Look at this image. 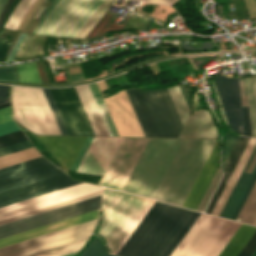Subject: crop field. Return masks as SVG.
Masks as SVG:
<instances>
[{
	"label": "crop field",
	"instance_id": "crop-field-1",
	"mask_svg": "<svg viewBox=\"0 0 256 256\" xmlns=\"http://www.w3.org/2000/svg\"><path fill=\"white\" fill-rule=\"evenodd\" d=\"M199 215L155 201L117 255L169 256Z\"/></svg>",
	"mask_w": 256,
	"mask_h": 256
},
{
	"label": "crop field",
	"instance_id": "crop-field-2",
	"mask_svg": "<svg viewBox=\"0 0 256 256\" xmlns=\"http://www.w3.org/2000/svg\"><path fill=\"white\" fill-rule=\"evenodd\" d=\"M44 158L0 170V207L82 183Z\"/></svg>",
	"mask_w": 256,
	"mask_h": 256
},
{
	"label": "crop field",
	"instance_id": "crop-field-3",
	"mask_svg": "<svg viewBox=\"0 0 256 256\" xmlns=\"http://www.w3.org/2000/svg\"><path fill=\"white\" fill-rule=\"evenodd\" d=\"M154 200L104 188L103 217L98 229L110 253L116 254Z\"/></svg>",
	"mask_w": 256,
	"mask_h": 256
},
{
	"label": "crop field",
	"instance_id": "crop-field-4",
	"mask_svg": "<svg viewBox=\"0 0 256 256\" xmlns=\"http://www.w3.org/2000/svg\"><path fill=\"white\" fill-rule=\"evenodd\" d=\"M182 141L149 138L123 191L154 199Z\"/></svg>",
	"mask_w": 256,
	"mask_h": 256
},
{
	"label": "crop field",
	"instance_id": "crop-field-5",
	"mask_svg": "<svg viewBox=\"0 0 256 256\" xmlns=\"http://www.w3.org/2000/svg\"><path fill=\"white\" fill-rule=\"evenodd\" d=\"M214 142L185 139L155 199L182 206Z\"/></svg>",
	"mask_w": 256,
	"mask_h": 256
},
{
	"label": "crop field",
	"instance_id": "crop-field-6",
	"mask_svg": "<svg viewBox=\"0 0 256 256\" xmlns=\"http://www.w3.org/2000/svg\"><path fill=\"white\" fill-rule=\"evenodd\" d=\"M126 92L145 136H178L183 125L166 88Z\"/></svg>",
	"mask_w": 256,
	"mask_h": 256
},
{
	"label": "crop field",
	"instance_id": "crop-field-7",
	"mask_svg": "<svg viewBox=\"0 0 256 256\" xmlns=\"http://www.w3.org/2000/svg\"><path fill=\"white\" fill-rule=\"evenodd\" d=\"M239 226L201 213L171 256H217Z\"/></svg>",
	"mask_w": 256,
	"mask_h": 256
},
{
	"label": "crop field",
	"instance_id": "crop-field-8",
	"mask_svg": "<svg viewBox=\"0 0 256 256\" xmlns=\"http://www.w3.org/2000/svg\"><path fill=\"white\" fill-rule=\"evenodd\" d=\"M12 106L14 119L32 132L61 135L41 88L13 86Z\"/></svg>",
	"mask_w": 256,
	"mask_h": 256
},
{
	"label": "crop field",
	"instance_id": "crop-field-9",
	"mask_svg": "<svg viewBox=\"0 0 256 256\" xmlns=\"http://www.w3.org/2000/svg\"><path fill=\"white\" fill-rule=\"evenodd\" d=\"M104 0H60L37 34L74 37Z\"/></svg>",
	"mask_w": 256,
	"mask_h": 256
},
{
	"label": "crop field",
	"instance_id": "crop-field-10",
	"mask_svg": "<svg viewBox=\"0 0 256 256\" xmlns=\"http://www.w3.org/2000/svg\"><path fill=\"white\" fill-rule=\"evenodd\" d=\"M69 135H94L74 87L49 89ZM48 89H43L62 134H68Z\"/></svg>",
	"mask_w": 256,
	"mask_h": 256
},
{
	"label": "crop field",
	"instance_id": "crop-field-11",
	"mask_svg": "<svg viewBox=\"0 0 256 256\" xmlns=\"http://www.w3.org/2000/svg\"><path fill=\"white\" fill-rule=\"evenodd\" d=\"M96 220L1 248L0 256H33L62 245L85 240L92 233Z\"/></svg>",
	"mask_w": 256,
	"mask_h": 256
},
{
	"label": "crop field",
	"instance_id": "crop-field-12",
	"mask_svg": "<svg viewBox=\"0 0 256 256\" xmlns=\"http://www.w3.org/2000/svg\"><path fill=\"white\" fill-rule=\"evenodd\" d=\"M215 83L222 99L229 127L239 132L238 125H242L244 135L252 137L249 108H241V103L242 107H248L245 80H239L241 103L238 79L215 75Z\"/></svg>",
	"mask_w": 256,
	"mask_h": 256
},
{
	"label": "crop field",
	"instance_id": "crop-field-13",
	"mask_svg": "<svg viewBox=\"0 0 256 256\" xmlns=\"http://www.w3.org/2000/svg\"><path fill=\"white\" fill-rule=\"evenodd\" d=\"M148 138H123L100 185L122 190Z\"/></svg>",
	"mask_w": 256,
	"mask_h": 256
},
{
	"label": "crop field",
	"instance_id": "crop-field-14",
	"mask_svg": "<svg viewBox=\"0 0 256 256\" xmlns=\"http://www.w3.org/2000/svg\"><path fill=\"white\" fill-rule=\"evenodd\" d=\"M100 196L0 226V238L99 208Z\"/></svg>",
	"mask_w": 256,
	"mask_h": 256
},
{
	"label": "crop field",
	"instance_id": "crop-field-15",
	"mask_svg": "<svg viewBox=\"0 0 256 256\" xmlns=\"http://www.w3.org/2000/svg\"><path fill=\"white\" fill-rule=\"evenodd\" d=\"M93 137H88L72 170H77ZM122 138L94 137L77 171L103 175Z\"/></svg>",
	"mask_w": 256,
	"mask_h": 256
},
{
	"label": "crop field",
	"instance_id": "crop-field-16",
	"mask_svg": "<svg viewBox=\"0 0 256 256\" xmlns=\"http://www.w3.org/2000/svg\"><path fill=\"white\" fill-rule=\"evenodd\" d=\"M102 187L83 183L30 200H26L17 204L0 208V220L26 213L35 209H39L48 205L62 202L71 198H75L84 194L101 190Z\"/></svg>",
	"mask_w": 256,
	"mask_h": 256
},
{
	"label": "crop field",
	"instance_id": "crop-field-17",
	"mask_svg": "<svg viewBox=\"0 0 256 256\" xmlns=\"http://www.w3.org/2000/svg\"><path fill=\"white\" fill-rule=\"evenodd\" d=\"M256 147L250 157V159L248 160L240 178L238 179L230 197L228 198L220 216L221 217H225V218H229V219H233L236 220L244 202L246 201L255 181H256ZM255 153V155H254ZM254 155V157H253ZM253 157V159H252ZM252 159V161H251ZM251 161V163H250ZM250 163V165H249ZM249 165V167H248ZM255 166V168H254ZM248 167V169H247ZM254 168V170H253ZM247 169V171L249 172H253L252 173H248L245 172Z\"/></svg>",
	"mask_w": 256,
	"mask_h": 256
},
{
	"label": "crop field",
	"instance_id": "crop-field-18",
	"mask_svg": "<svg viewBox=\"0 0 256 256\" xmlns=\"http://www.w3.org/2000/svg\"><path fill=\"white\" fill-rule=\"evenodd\" d=\"M43 146L65 171L71 166L86 137L38 136ZM66 164V167L64 165ZM67 172V171H66Z\"/></svg>",
	"mask_w": 256,
	"mask_h": 256
},
{
	"label": "crop field",
	"instance_id": "crop-field-19",
	"mask_svg": "<svg viewBox=\"0 0 256 256\" xmlns=\"http://www.w3.org/2000/svg\"><path fill=\"white\" fill-rule=\"evenodd\" d=\"M219 165L218 142H215L206 162L204 163L194 185L192 186L183 207L196 210L206 188L208 187Z\"/></svg>",
	"mask_w": 256,
	"mask_h": 256
},
{
	"label": "crop field",
	"instance_id": "crop-field-20",
	"mask_svg": "<svg viewBox=\"0 0 256 256\" xmlns=\"http://www.w3.org/2000/svg\"><path fill=\"white\" fill-rule=\"evenodd\" d=\"M99 210V209H98ZM98 210L0 239V248L97 218Z\"/></svg>",
	"mask_w": 256,
	"mask_h": 256
},
{
	"label": "crop field",
	"instance_id": "crop-field-21",
	"mask_svg": "<svg viewBox=\"0 0 256 256\" xmlns=\"http://www.w3.org/2000/svg\"><path fill=\"white\" fill-rule=\"evenodd\" d=\"M238 139H239L238 137H234L231 134L226 132V142H225V146H224L225 164H226L231 152L233 151ZM248 140H249V138H245V137H241L239 139L233 153L231 154V156L225 166V175H224L219 187L217 188L213 198L211 199L205 212L211 214V212H212L223 188L225 187L236 163L238 162Z\"/></svg>",
	"mask_w": 256,
	"mask_h": 256
},
{
	"label": "crop field",
	"instance_id": "crop-field-22",
	"mask_svg": "<svg viewBox=\"0 0 256 256\" xmlns=\"http://www.w3.org/2000/svg\"><path fill=\"white\" fill-rule=\"evenodd\" d=\"M180 137L189 138H216L217 127L208 110L190 116Z\"/></svg>",
	"mask_w": 256,
	"mask_h": 256
},
{
	"label": "crop field",
	"instance_id": "crop-field-23",
	"mask_svg": "<svg viewBox=\"0 0 256 256\" xmlns=\"http://www.w3.org/2000/svg\"><path fill=\"white\" fill-rule=\"evenodd\" d=\"M96 135L110 136L87 85L75 87Z\"/></svg>",
	"mask_w": 256,
	"mask_h": 256
},
{
	"label": "crop field",
	"instance_id": "crop-field-24",
	"mask_svg": "<svg viewBox=\"0 0 256 256\" xmlns=\"http://www.w3.org/2000/svg\"><path fill=\"white\" fill-rule=\"evenodd\" d=\"M255 145H256V139H252L251 138L249 140V142H248V144H247V146H246V148H245V150H244V152H243V154H242L238 164L236 165V167H235V169H234V171H233V173H232V175H231V177H230V179H229L225 189L223 190V192H222V194H221V196H220V198H219V200H218V202H217L213 212H212L213 215H217L218 216L220 214V212H221V210H222V208H223V206H224L228 196L230 195V193H231V191H232V189H233V187H234L238 177L240 176V174H241V172H242V170H243L247 160L249 159V157H250V155H251Z\"/></svg>",
	"mask_w": 256,
	"mask_h": 256
},
{
	"label": "crop field",
	"instance_id": "crop-field-25",
	"mask_svg": "<svg viewBox=\"0 0 256 256\" xmlns=\"http://www.w3.org/2000/svg\"><path fill=\"white\" fill-rule=\"evenodd\" d=\"M255 231L256 227L241 224L218 256H237Z\"/></svg>",
	"mask_w": 256,
	"mask_h": 256
},
{
	"label": "crop field",
	"instance_id": "crop-field-26",
	"mask_svg": "<svg viewBox=\"0 0 256 256\" xmlns=\"http://www.w3.org/2000/svg\"><path fill=\"white\" fill-rule=\"evenodd\" d=\"M45 40L43 37L27 34L13 61L44 56L42 48Z\"/></svg>",
	"mask_w": 256,
	"mask_h": 256
},
{
	"label": "crop field",
	"instance_id": "crop-field-27",
	"mask_svg": "<svg viewBox=\"0 0 256 256\" xmlns=\"http://www.w3.org/2000/svg\"><path fill=\"white\" fill-rule=\"evenodd\" d=\"M111 136H119L97 84H88Z\"/></svg>",
	"mask_w": 256,
	"mask_h": 256
},
{
	"label": "crop field",
	"instance_id": "crop-field-28",
	"mask_svg": "<svg viewBox=\"0 0 256 256\" xmlns=\"http://www.w3.org/2000/svg\"><path fill=\"white\" fill-rule=\"evenodd\" d=\"M256 219V183L245 202L237 220L253 225Z\"/></svg>",
	"mask_w": 256,
	"mask_h": 256
},
{
	"label": "crop field",
	"instance_id": "crop-field-29",
	"mask_svg": "<svg viewBox=\"0 0 256 256\" xmlns=\"http://www.w3.org/2000/svg\"><path fill=\"white\" fill-rule=\"evenodd\" d=\"M34 1L35 0H21L11 13L4 27L16 30Z\"/></svg>",
	"mask_w": 256,
	"mask_h": 256
},
{
	"label": "crop field",
	"instance_id": "crop-field-30",
	"mask_svg": "<svg viewBox=\"0 0 256 256\" xmlns=\"http://www.w3.org/2000/svg\"><path fill=\"white\" fill-rule=\"evenodd\" d=\"M171 99L176 107V110L180 116V119L184 125L188 115H189V110L187 108L186 102L184 100V97L182 95V92L179 88V86L168 88L167 89Z\"/></svg>",
	"mask_w": 256,
	"mask_h": 256
},
{
	"label": "crop field",
	"instance_id": "crop-field-31",
	"mask_svg": "<svg viewBox=\"0 0 256 256\" xmlns=\"http://www.w3.org/2000/svg\"><path fill=\"white\" fill-rule=\"evenodd\" d=\"M101 192H102V190L98 191V192L88 194V195H84V196H81V197H78V198H75V199H71V200H68V201H65V202H62V203H58V204H55V205H52V206H48V207H45V208H42V209H39V210H35V211L29 212V213H26V214H22V215H19V216H16V217H12V218L0 221V225L9 223V222H12V221H15V220H19V219H22V218H25V217H28V216H32V215H35V214H38V213H41V212H45V211H48V210H51V209H54V208H58V207H61V206L67 205V204H71V203H74V202H77V201H80V200H84V199H87V198H90V197H93V196H97V195H100Z\"/></svg>",
	"mask_w": 256,
	"mask_h": 256
},
{
	"label": "crop field",
	"instance_id": "crop-field-32",
	"mask_svg": "<svg viewBox=\"0 0 256 256\" xmlns=\"http://www.w3.org/2000/svg\"><path fill=\"white\" fill-rule=\"evenodd\" d=\"M21 82L42 83L35 62L17 65Z\"/></svg>",
	"mask_w": 256,
	"mask_h": 256
},
{
	"label": "crop field",
	"instance_id": "crop-field-33",
	"mask_svg": "<svg viewBox=\"0 0 256 256\" xmlns=\"http://www.w3.org/2000/svg\"><path fill=\"white\" fill-rule=\"evenodd\" d=\"M253 137H256V77L246 79Z\"/></svg>",
	"mask_w": 256,
	"mask_h": 256
},
{
	"label": "crop field",
	"instance_id": "crop-field-34",
	"mask_svg": "<svg viewBox=\"0 0 256 256\" xmlns=\"http://www.w3.org/2000/svg\"><path fill=\"white\" fill-rule=\"evenodd\" d=\"M113 2L114 0H105L75 37L84 38Z\"/></svg>",
	"mask_w": 256,
	"mask_h": 256
},
{
	"label": "crop field",
	"instance_id": "crop-field-35",
	"mask_svg": "<svg viewBox=\"0 0 256 256\" xmlns=\"http://www.w3.org/2000/svg\"><path fill=\"white\" fill-rule=\"evenodd\" d=\"M221 176H222L221 171L218 168V170H217L213 180L211 181V183H210V185H209L205 195L203 196V198H202V200H201V202H200V204H199V206L197 208L198 211H204V209H205V207H206V205H207V203H208L212 193L214 192V190H215V188H216V186H217Z\"/></svg>",
	"mask_w": 256,
	"mask_h": 256
},
{
	"label": "crop field",
	"instance_id": "crop-field-36",
	"mask_svg": "<svg viewBox=\"0 0 256 256\" xmlns=\"http://www.w3.org/2000/svg\"><path fill=\"white\" fill-rule=\"evenodd\" d=\"M81 256H112L105 252L100 240L94 238L87 250Z\"/></svg>",
	"mask_w": 256,
	"mask_h": 256
},
{
	"label": "crop field",
	"instance_id": "crop-field-37",
	"mask_svg": "<svg viewBox=\"0 0 256 256\" xmlns=\"http://www.w3.org/2000/svg\"><path fill=\"white\" fill-rule=\"evenodd\" d=\"M84 242L85 241H82V242H79V243H76V244H72V245H68V246H65L63 248H60V249H57V250H54V251H51V252H48V253H44V254H41V255H38V256H61V255L67 254V253H71V252L76 251L80 247H82Z\"/></svg>",
	"mask_w": 256,
	"mask_h": 256
},
{
	"label": "crop field",
	"instance_id": "crop-field-38",
	"mask_svg": "<svg viewBox=\"0 0 256 256\" xmlns=\"http://www.w3.org/2000/svg\"><path fill=\"white\" fill-rule=\"evenodd\" d=\"M19 1L20 0H15L14 3L12 4V6H11V8H10V10H9V12H8V14H7V16H6L2 26H1V28H0V35H1L2 31H3L2 28H3L4 24H5L8 16L10 15V13L12 12V10L14 9V7L16 6V4ZM10 45H11V42L3 40V39L0 38V61H3V59H4V57H5L6 53H7Z\"/></svg>",
	"mask_w": 256,
	"mask_h": 256
},
{
	"label": "crop field",
	"instance_id": "crop-field-39",
	"mask_svg": "<svg viewBox=\"0 0 256 256\" xmlns=\"http://www.w3.org/2000/svg\"><path fill=\"white\" fill-rule=\"evenodd\" d=\"M32 147V144L29 142V140L24 141V142H20L11 146H7L4 148L0 149V156L5 155V154H9L15 151H19L25 148H29Z\"/></svg>",
	"mask_w": 256,
	"mask_h": 256
},
{
	"label": "crop field",
	"instance_id": "crop-field-40",
	"mask_svg": "<svg viewBox=\"0 0 256 256\" xmlns=\"http://www.w3.org/2000/svg\"><path fill=\"white\" fill-rule=\"evenodd\" d=\"M0 80L16 82L13 65L0 66Z\"/></svg>",
	"mask_w": 256,
	"mask_h": 256
},
{
	"label": "crop field",
	"instance_id": "crop-field-41",
	"mask_svg": "<svg viewBox=\"0 0 256 256\" xmlns=\"http://www.w3.org/2000/svg\"><path fill=\"white\" fill-rule=\"evenodd\" d=\"M256 249V232L238 256H250Z\"/></svg>",
	"mask_w": 256,
	"mask_h": 256
},
{
	"label": "crop field",
	"instance_id": "crop-field-42",
	"mask_svg": "<svg viewBox=\"0 0 256 256\" xmlns=\"http://www.w3.org/2000/svg\"><path fill=\"white\" fill-rule=\"evenodd\" d=\"M19 131L14 121L0 125V136Z\"/></svg>",
	"mask_w": 256,
	"mask_h": 256
},
{
	"label": "crop field",
	"instance_id": "crop-field-43",
	"mask_svg": "<svg viewBox=\"0 0 256 256\" xmlns=\"http://www.w3.org/2000/svg\"><path fill=\"white\" fill-rule=\"evenodd\" d=\"M12 113H11V108L6 107V108H2L0 109V124L5 123V122H9L12 121Z\"/></svg>",
	"mask_w": 256,
	"mask_h": 256
},
{
	"label": "crop field",
	"instance_id": "crop-field-44",
	"mask_svg": "<svg viewBox=\"0 0 256 256\" xmlns=\"http://www.w3.org/2000/svg\"><path fill=\"white\" fill-rule=\"evenodd\" d=\"M39 1H40V0H36V2L34 3V5L32 6V8L30 9V11L28 12V14L26 15V17L29 16V14L31 13V11L33 10V8L35 7V5H36ZM43 1H44V0H41V1L37 4V6L34 8V10L32 11V13L30 14V16L27 17V19H26V17L24 18V20L22 21V23H21V24L19 25V27L17 28V31H19V29L21 28L23 22H24L25 19H26V21H25L23 27H22L21 30H20V31H23L25 25L27 24V22L29 21V19L32 17V15H33L34 12L36 11V9L41 5V3H42Z\"/></svg>",
	"mask_w": 256,
	"mask_h": 256
},
{
	"label": "crop field",
	"instance_id": "crop-field-45",
	"mask_svg": "<svg viewBox=\"0 0 256 256\" xmlns=\"http://www.w3.org/2000/svg\"><path fill=\"white\" fill-rule=\"evenodd\" d=\"M20 137H24L23 133L21 131L15 132V133L0 137V143H4V142L10 141V140H14V139H17V138H20Z\"/></svg>",
	"mask_w": 256,
	"mask_h": 256
},
{
	"label": "crop field",
	"instance_id": "crop-field-46",
	"mask_svg": "<svg viewBox=\"0 0 256 256\" xmlns=\"http://www.w3.org/2000/svg\"><path fill=\"white\" fill-rule=\"evenodd\" d=\"M25 36H26V34L21 33V35H20L14 49L12 50L10 56L8 57L7 61H12L14 55L16 54V52H17L18 48L20 47L22 41L24 40Z\"/></svg>",
	"mask_w": 256,
	"mask_h": 256
},
{
	"label": "crop field",
	"instance_id": "crop-field-47",
	"mask_svg": "<svg viewBox=\"0 0 256 256\" xmlns=\"http://www.w3.org/2000/svg\"><path fill=\"white\" fill-rule=\"evenodd\" d=\"M8 85H0V103L7 101Z\"/></svg>",
	"mask_w": 256,
	"mask_h": 256
},
{
	"label": "crop field",
	"instance_id": "crop-field-48",
	"mask_svg": "<svg viewBox=\"0 0 256 256\" xmlns=\"http://www.w3.org/2000/svg\"><path fill=\"white\" fill-rule=\"evenodd\" d=\"M13 1H14V0H8V2L6 3V5H5V7H4V9H3V11H2V13H1V15H0V25H1V23H2V21H3V19H4V17H5V15H6V13H7L9 7H10V5L12 4Z\"/></svg>",
	"mask_w": 256,
	"mask_h": 256
},
{
	"label": "crop field",
	"instance_id": "crop-field-49",
	"mask_svg": "<svg viewBox=\"0 0 256 256\" xmlns=\"http://www.w3.org/2000/svg\"><path fill=\"white\" fill-rule=\"evenodd\" d=\"M196 95H197V93L195 92L192 114L195 113L196 111L200 110V106H199L198 100L196 98Z\"/></svg>",
	"mask_w": 256,
	"mask_h": 256
},
{
	"label": "crop field",
	"instance_id": "crop-field-50",
	"mask_svg": "<svg viewBox=\"0 0 256 256\" xmlns=\"http://www.w3.org/2000/svg\"><path fill=\"white\" fill-rule=\"evenodd\" d=\"M33 20H30V22L28 23V25L26 26L27 28H29L30 24L32 23ZM37 21H33V23L31 24L29 29H24L25 32H29L31 33L32 29L34 28V26L36 25Z\"/></svg>",
	"mask_w": 256,
	"mask_h": 256
},
{
	"label": "crop field",
	"instance_id": "crop-field-51",
	"mask_svg": "<svg viewBox=\"0 0 256 256\" xmlns=\"http://www.w3.org/2000/svg\"><path fill=\"white\" fill-rule=\"evenodd\" d=\"M24 140H27V138L24 137V138L17 139V140L8 142V143L1 144V145H0V148H1V147H4V146H7V145H11V144L17 143V142H20V141H24Z\"/></svg>",
	"mask_w": 256,
	"mask_h": 256
},
{
	"label": "crop field",
	"instance_id": "crop-field-52",
	"mask_svg": "<svg viewBox=\"0 0 256 256\" xmlns=\"http://www.w3.org/2000/svg\"><path fill=\"white\" fill-rule=\"evenodd\" d=\"M143 1H151V2H159V3H168V4H172V3L175 2L176 0H143Z\"/></svg>",
	"mask_w": 256,
	"mask_h": 256
},
{
	"label": "crop field",
	"instance_id": "crop-field-53",
	"mask_svg": "<svg viewBox=\"0 0 256 256\" xmlns=\"http://www.w3.org/2000/svg\"><path fill=\"white\" fill-rule=\"evenodd\" d=\"M6 2H7V0H0V12H1V10L4 7Z\"/></svg>",
	"mask_w": 256,
	"mask_h": 256
},
{
	"label": "crop field",
	"instance_id": "crop-field-54",
	"mask_svg": "<svg viewBox=\"0 0 256 256\" xmlns=\"http://www.w3.org/2000/svg\"><path fill=\"white\" fill-rule=\"evenodd\" d=\"M47 1H50V2L53 3L55 0H47ZM52 3H51V4H52ZM51 4H50V5H51ZM49 7H50V6H49ZM49 7H48V8H49ZM39 8H40V7H39ZM39 8H38V9H39ZM48 8H47V9H48ZM38 9H37V10H38ZM42 9H43V8H42ZM47 9H46V11H47ZM46 11H45V12H46ZM36 12H37V11H36ZM36 12H35V13H36ZM40 12H41V11H40ZM40 12H39V13H40ZM45 12H44V13H45ZM44 13H43V14H44ZM34 15H35V14H34ZM34 15H33V16H34ZM38 15H39V14H38ZM38 15L36 16V18L38 17ZM42 16H43V15H42ZM42 16H41V17H42ZM41 17H40V18H41ZM36 18H35V19H36ZM39 20H40V19H39Z\"/></svg>",
	"mask_w": 256,
	"mask_h": 256
},
{
	"label": "crop field",
	"instance_id": "crop-field-55",
	"mask_svg": "<svg viewBox=\"0 0 256 256\" xmlns=\"http://www.w3.org/2000/svg\"><path fill=\"white\" fill-rule=\"evenodd\" d=\"M9 105H10V102L5 103V104H1V105H0V108H2V107H6V106H9Z\"/></svg>",
	"mask_w": 256,
	"mask_h": 256
},
{
	"label": "crop field",
	"instance_id": "crop-field-56",
	"mask_svg": "<svg viewBox=\"0 0 256 256\" xmlns=\"http://www.w3.org/2000/svg\"><path fill=\"white\" fill-rule=\"evenodd\" d=\"M49 4H50V2H46V1H44V2H43V4H42V6L47 5V7H48V6H49Z\"/></svg>",
	"mask_w": 256,
	"mask_h": 256
},
{
	"label": "crop field",
	"instance_id": "crop-field-57",
	"mask_svg": "<svg viewBox=\"0 0 256 256\" xmlns=\"http://www.w3.org/2000/svg\"><path fill=\"white\" fill-rule=\"evenodd\" d=\"M251 256H256V250L254 251V253Z\"/></svg>",
	"mask_w": 256,
	"mask_h": 256
},
{
	"label": "crop field",
	"instance_id": "crop-field-58",
	"mask_svg": "<svg viewBox=\"0 0 256 256\" xmlns=\"http://www.w3.org/2000/svg\"><path fill=\"white\" fill-rule=\"evenodd\" d=\"M73 253H71V254H68V255H64V256H71Z\"/></svg>",
	"mask_w": 256,
	"mask_h": 256
},
{
	"label": "crop field",
	"instance_id": "crop-field-59",
	"mask_svg": "<svg viewBox=\"0 0 256 256\" xmlns=\"http://www.w3.org/2000/svg\"><path fill=\"white\" fill-rule=\"evenodd\" d=\"M254 225L256 226V221H255Z\"/></svg>",
	"mask_w": 256,
	"mask_h": 256
}]
</instances>
